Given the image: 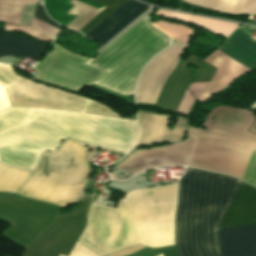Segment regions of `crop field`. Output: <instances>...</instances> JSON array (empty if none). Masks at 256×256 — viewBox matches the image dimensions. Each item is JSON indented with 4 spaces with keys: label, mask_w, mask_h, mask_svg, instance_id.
<instances>
[{
    "label": "crop field",
    "mask_w": 256,
    "mask_h": 256,
    "mask_svg": "<svg viewBox=\"0 0 256 256\" xmlns=\"http://www.w3.org/2000/svg\"><path fill=\"white\" fill-rule=\"evenodd\" d=\"M34 17H36V18L46 22L47 24H49V25H51V26H53V27H55L57 29H60V26L57 23L53 22L52 20H50L46 16L45 11H44L42 5L36 6Z\"/></svg>",
    "instance_id": "eef30255"
},
{
    "label": "crop field",
    "mask_w": 256,
    "mask_h": 256,
    "mask_svg": "<svg viewBox=\"0 0 256 256\" xmlns=\"http://www.w3.org/2000/svg\"><path fill=\"white\" fill-rule=\"evenodd\" d=\"M152 25L161 30L169 37L176 38L186 44L194 31L191 28L167 21L152 23Z\"/></svg>",
    "instance_id": "214f88e0"
},
{
    "label": "crop field",
    "mask_w": 256,
    "mask_h": 256,
    "mask_svg": "<svg viewBox=\"0 0 256 256\" xmlns=\"http://www.w3.org/2000/svg\"><path fill=\"white\" fill-rule=\"evenodd\" d=\"M69 3L73 4L74 6L70 9V11L67 14L78 15L84 9H86L88 11L96 9L94 7H91L89 5H86V4L76 1V0H71Z\"/></svg>",
    "instance_id": "ae1a2a85"
},
{
    "label": "crop field",
    "mask_w": 256,
    "mask_h": 256,
    "mask_svg": "<svg viewBox=\"0 0 256 256\" xmlns=\"http://www.w3.org/2000/svg\"><path fill=\"white\" fill-rule=\"evenodd\" d=\"M159 256H162V255H159Z\"/></svg>",
    "instance_id": "120bbe31"
},
{
    "label": "crop field",
    "mask_w": 256,
    "mask_h": 256,
    "mask_svg": "<svg viewBox=\"0 0 256 256\" xmlns=\"http://www.w3.org/2000/svg\"><path fill=\"white\" fill-rule=\"evenodd\" d=\"M147 15L97 54L95 60L86 62L104 71L94 84L123 95L134 94L139 72L168 46V38L149 25Z\"/></svg>",
    "instance_id": "34b2d1b8"
},
{
    "label": "crop field",
    "mask_w": 256,
    "mask_h": 256,
    "mask_svg": "<svg viewBox=\"0 0 256 256\" xmlns=\"http://www.w3.org/2000/svg\"><path fill=\"white\" fill-rule=\"evenodd\" d=\"M189 4L229 14H256V0H183Z\"/></svg>",
    "instance_id": "733c2abd"
},
{
    "label": "crop field",
    "mask_w": 256,
    "mask_h": 256,
    "mask_svg": "<svg viewBox=\"0 0 256 256\" xmlns=\"http://www.w3.org/2000/svg\"><path fill=\"white\" fill-rule=\"evenodd\" d=\"M53 52L82 63L86 61L66 53L55 45ZM55 53H48L43 61L34 67L36 78L80 92L102 73L100 70Z\"/></svg>",
    "instance_id": "3316defc"
},
{
    "label": "crop field",
    "mask_w": 256,
    "mask_h": 256,
    "mask_svg": "<svg viewBox=\"0 0 256 256\" xmlns=\"http://www.w3.org/2000/svg\"><path fill=\"white\" fill-rule=\"evenodd\" d=\"M256 224V189L241 182L218 229ZM221 256H256V225L217 230Z\"/></svg>",
    "instance_id": "d8731c3e"
},
{
    "label": "crop field",
    "mask_w": 256,
    "mask_h": 256,
    "mask_svg": "<svg viewBox=\"0 0 256 256\" xmlns=\"http://www.w3.org/2000/svg\"><path fill=\"white\" fill-rule=\"evenodd\" d=\"M155 14L199 25L209 31L223 35L227 38L239 26L238 24H232L163 10H158ZM217 49L251 69L256 68V41L252 40L250 35L246 34L238 28Z\"/></svg>",
    "instance_id": "28ad6ade"
},
{
    "label": "crop field",
    "mask_w": 256,
    "mask_h": 256,
    "mask_svg": "<svg viewBox=\"0 0 256 256\" xmlns=\"http://www.w3.org/2000/svg\"><path fill=\"white\" fill-rule=\"evenodd\" d=\"M238 108L212 107L201 127L227 131Z\"/></svg>",
    "instance_id": "bc2a9ffb"
},
{
    "label": "crop field",
    "mask_w": 256,
    "mask_h": 256,
    "mask_svg": "<svg viewBox=\"0 0 256 256\" xmlns=\"http://www.w3.org/2000/svg\"><path fill=\"white\" fill-rule=\"evenodd\" d=\"M144 246H140V245H137V246H133V247H130V248H127V249H124V250H121V251H118V252H115L109 256H122V255H126V254H129L133 251H136L140 248H142Z\"/></svg>",
    "instance_id": "750c4746"
},
{
    "label": "crop field",
    "mask_w": 256,
    "mask_h": 256,
    "mask_svg": "<svg viewBox=\"0 0 256 256\" xmlns=\"http://www.w3.org/2000/svg\"><path fill=\"white\" fill-rule=\"evenodd\" d=\"M177 185L150 187L123 197L141 245L159 248L174 244Z\"/></svg>",
    "instance_id": "dd49c442"
},
{
    "label": "crop field",
    "mask_w": 256,
    "mask_h": 256,
    "mask_svg": "<svg viewBox=\"0 0 256 256\" xmlns=\"http://www.w3.org/2000/svg\"><path fill=\"white\" fill-rule=\"evenodd\" d=\"M0 4H13V0H0Z\"/></svg>",
    "instance_id": "bd1437ed"
},
{
    "label": "crop field",
    "mask_w": 256,
    "mask_h": 256,
    "mask_svg": "<svg viewBox=\"0 0 256 256\" xmlns=\"http://www.w3.org/2000/svg\"><path fill=\"white\" fill-rule=\"evenodd\" d=\"M31 27L38 30L45 36L49 37L50 39H54V37L57 35L58 31L57 29L47 25L46 23L34 18Z\"/></svg>",
    "instance_id": "a9b5d70f"
},
{
    "label": "crop field",
    "mask_w": 256,
    "mask_h": 256,
    "mask_svg": "<svg viewBox=\"0 0 256 256\" xmlns=\"http://www.w3.org/2000/svg\"><path fill=\"white\" fill-rule=\"evenodd\" d=\"M103 8H99L90 12H87L84 10L69 25H67L66 28L76 32L84 24H86L90 19H92L97 13H99Z\"/></svg>",
    "instance_id": "00972430"
},
{
    "label": "crop field",
    "mask_w": 256,
    "mask_h": 256,
    "mask_svg": "<svg viewBox=\"0 0 256 256\" xmlns=\"http://www.w3.org/2000/svg\"><path fill=\"white\" fill-rule=\"evenodd\" d=\"M9 106L6 89L0 85V111Z\"/></svg>",
    "instance_id": "d3111659"
},
{
    "label": "crop field",
    "mask_w": 256,
    "mask_h": 256,
    "mask_svg": "<svg viewBox=\"0 0 256 256\" xmlns=\"http://www.w3.org/2000/svg\"><path fill=\"white\" fill-rule=\"evenodd\" d=\"M98 254V253H97ZM90 249H88L83 244L77 242V244L74 246L70 256H99ZM61 256V255H59Z\"/></svg>",
    "instance_id": "730fd06b"
},
{
    "label": "crop field",
    "mask_w": 256,
    "mask_h": 256,
    "mask_svg": "<svg viewBox=\"0 0 256 256\" xmlns=\"http://www.w3.org/2000/svg\"><path fill=\"white\" fill-rule=\"evenodd\" d=\"M76 113L23 107L1 111L0 163L33 170L42 151L57 149ZM66 138L127 153L137 138V124L136 120L78 112Z\"/></svg>",
    "instance_id": "8a807250"
},
{
    "label": "crop field",
    "mask_w": 256,
    "mask_h": 256,
    "mask_svg": "<svg viewBox=\"0 0 256 256\" xmlns=\"http://www.w3.org/2000/svg\"><path fill=\"white\" fill-rule=\"evenodd\" d=\"M0 84L8 90L11 105L80 111L120 117L109 107L82 96L35 83L0 64Z\"/></svg>",
    "instance_id": "e52e79f7"
},
{
    "label": "crop field",
    "mask_w": 256,
    "mask_h": 256,
    "mask_svg": "<svg viewBox=\"0 0 256 256\" xmlns=\"http://www.w3.org/2000/svg\"><path fill=\"white\" fill-rule=\"evenodd\" d=\"M47 47L34 40L10 32L0 31V57L15 55L39 59Z\"/></svg>",
    "instance_id": "d9b57169"
},
{
    "label": "crop field",
    "mask_w": 256,
    "mask_h": 256,
    "mask_svg": "<svg viewBox=\"0 0 256 256\" xmlns=\"http://www.w3.org/2000/svg\"><path fill=\"white\" fill-rule=\"evenodd\" d=\"M36 2L38 0H14V5H0V20L19 24L23 4Z\"/></svg>",
    "instance_id": "92a150f3"
},
{
    "label": "crop field",
    "mask_w": 256,
    "mask_h": 256,
    "mask_svg": "<svg viewBox=\"0 0 256 256\" xmlns=\"http://www.w3.org/2000/svg\"><path fill=\"white\" fill-rule=\"evenodd\" d=\"M117 207L126 209L125 206H124V204H123V202H122V200H120V199H119V201H118V206H117Z\"/></svg>",
    "instance_id": "1d83c4d3"
},
{
    "label": "crop field",
    "mask_w": 256,
    "mask_h": 256,
    "mask_svg": "<svg viewBox=\"0 0 256 256\" xmlns=\"http://www.w3.org/2000/svg\"><path fill=\"white\" fill-rule=\"evenodd\" d=\"M147 8L136 1L127 0L84 37L98 41L100 48Z\"/></svg>",
    "instance_id": "5142ce71"
},
{
    "label": "crop field",
    "mask_w": 256,
    "mask_h": 256,
    "mask_svg": "<svg viewBox=\"0 0 256 256\" xmlns=\"http://www.w3.org/2000/svg\"><path fill=\"white\" fill-rule=\"evenodd\" d=\"M239 184L230 176L186 168L176 223L180 256H220L216 229Z\"/></svg>",
    "instance_id": "ac0d7876"
},
{
    "label": "crop field",
    "mask_w": 256,
    "mask_h": 256,
    "mask_svg": "<svg viewBox=\"0 0 256 256\" xmlns=\"http://www.w3.org/2000/svg\"><path fill=\"white\" fill-rule=\"evenodd\" d=\"M102 5L107 6L104 10H102L98 15H96L91 21H89L83 28L79 30L86 34L92 28H94L98 23H100L103 19H105L114 9H116L119 5H121L125 0H90Z\"/></svg>",
    "instance_id": "dafd665d"
},
{
    "label": "crop field",
    "mask_w": 256,
    "mask_h": 256,
    "mask_svg": "<svg viewBox=\"0 0 256 256\" xmlns=\"http://www.w3.org/2000/svg\"><path fill=\"white\" fill-rule=\"evenodd\" d=\"M251 154L187 139L169 146L135 151L115 168L127 170L133 176L153 167L188 165L243 179Z\"/></svg>",
    "instance_id": "412701ff"
},
{
    "label": "crop field",
    "mask_w": 256,
    "mask_h": 256,
    "mask_svg": "<svg viewBox=\"0 0 256 256\" xmlns=\"http://www.w3.org/2000/svg\"><path fill=\"white\" fill-rule=\"evenodd\" d=\"M244 181L256 186V152L253 153Z\"/></svg>",
    "instance_id": "4177f3b9"
},
{
    "label": "crop field",
    "mask_w": 256,
    "mask_h": 256,
    "mask_svg": "<svg viewBox=\"0 0 256 256\" xmlns=\"http://www.w3.org/2000/svg\"><path fill=\"white\" fill-rule=\"evenodd\" d=\"M31 173L0 164V192L16 194Z\"/></svg>",
    "instance_id": "4a817a6b"
},
{
    "label": "crop field",
    "mask_w": 256,
    "mask_h": 256,
    "mask_svg": "<svg viewBox=\"0 0 256 256\" xmlns=\"http://www.w3.org/2000/svg\"><path fill=\"white\" fill-rule=\"evenodd\" d=\"M86 148L66 140L55 153H42L35 171L17 195L66 207L81 189L90 167Z\"/></svg>",
    "instance_id": "f4fd0767"
},
{
    "label": "crop field",
    "mask_w": 256,
    "mask_h": 256,
    "mask_svg": "<svg viewBox=\"0 0 256 256\" xmlns=\"http://www.w3.org/2000/svg\"><path fill=\"white\" fill-rule=\"evenodd\" d=\"M79 240L103 255L138 244L126 210L93 203L87 227Z\"/></svg>",
    "instance_id": "5a996713"
},
{
    "label": "crop field",
    "mask_w": 256,
    "mask_h": 256,
    "mask_svg": "<svg viewBox=\"0 0 256 256\" xmlns=\"http://www.w3.org/2000/svg\"><path fill=\"white\" fill-rule=\"evenodd\" d=\"M170 118L147 112H138L139 139L137 144L181 141L189 118L178 117L173 131H168Z\"/></svg>",
    "instance_id": "cbeb9de0"
},
{
    "label": "crop field",
    "mask_w": 256,
    "mask_h": 256,
    "mask_svg": "<svg viewBox=\"0 0 256 256\" xmlns=\"http://www.w3.org/2000/svg\"><path fill=\"white\" fill-rule=\"evenodd\" d=\"M252 120V113L239 109L228 132L188 126L187 138L253 152L256 136L246 132Z\"/></svg>",
    "instance_id": "22f410ed"
},
{
    "label": "crop field",
    "mask_w": 256,
    "mask_h": 256,
    "mask_svg": "<svg viewBox=\"0 0 256 256\" xmlns=\"http://www.w3.org/2000/svg\"><path fill=\"white\" fill-rule=\"evenodd\" d=\"M185 46L176 40H172L169 48L151 60L141 73L137 83L135 92L136 103L155 104L162 86L178 62L177 58Z\"/></svg>",
    "instance_id": "d1516ede"
}]
</instances>
